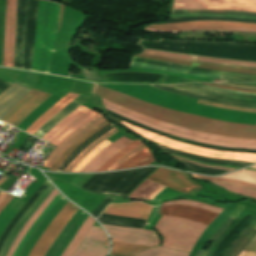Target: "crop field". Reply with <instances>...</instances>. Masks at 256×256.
I'll use <instances>...</instances> for the list:
<instances>
[{"label": "crop field", "mask_w": 256, "mask_h": 256, "mask_svg": "<svg viewBox=\"0 0 256 256\" xmlns=\"http://www.w3.org/2000/svg\"><path fill=\"white\" fill-rule=\"evenodd\" d=\"M93 93L103 98H106L115 104L134 110L149 117L166 121L168 123L212 134H220L235 138L256 139V126L233 124L224 121L169 110L121 94L119 92H116L114 90L108 89L97 84L95 85Z\"/></svg>", "instance_id": "1"}, {"label": "crop field", "mask_w": 256, "mask_h": 256, "mask_svg": "<svg viewBox=\"0 0 256 256\" xmlns=\"http://www.w3.org/2000/svg\"><path fill=\"white\" fill-rule=\"evenodd\" d=\"M63 5L39 0L33 57L32 71L48 73L56 35L58 31L59 10L60 17ZM60 22V20H59Z\"/></svg>", "instance_id": "2"}, {"label": "crop field", "mask_w": 256, "mask_h": 256, "mask_svg": "<svg viewBox=\"0 0 256 256\" xmlns=\"http://www.w3.org/2000/svg\"><path fill=\"white\" fill-rule=\"evenodd\" d=\"M206 227L186 219L162 216L155 228L164 239L162 246L190 253Z\"/></svg>", "instance_id": "3"}, {"label": "crop field", "mask_w": 256, "mask_h": 256, "mask_svg": "<svg viewBox=\"0 0 256 256\" xmlns=\"http://www.w3.org/2000/svg\"><path fill=\"white\" fill-rule=\"evenodd\" d=\"M120 123L124 124L125 126L132 129L133 131L140 134L141 136L168 147H172L175 149H179L182 151H186L189 153H193V154L205 156V157L225 158V159L241 160V161H248V162H256V154L220 152V151H214L210 149L195 147V146L177 142L168 138L161 137L157 134L135 127L123 121H121Z\"/></svg>", "instance_id": "4"}, {"label": "crop field", "mask_w": 256, "mask_h": 256, "mask_svg": "<svg viewBox=\"0 0 256 256\" xmlns=\"http://www.w3.org/2000/svg\"><path fill=\"white\" fill-rule=\"evenodd\" d=\"M67 202L59 193L25 235L13 256H28L41 234Z\"/></svg>", "instance_id": "5"}, {"label": "crop field", "mask_w": 256, "mask_h": 256, "mask_svg": "<svg viewBox=\"0 0 256 256\" xmlns=\"http://www.w3.org/2000/svg\"><path fill=\"white\" fill-rule=\"evenodd\" d=\"M96 115L98 113L81 105L55 125L43 138L49 140L50 144L58 146L68 135Z\"/></svg>", "instance_id": "6"}, {"label": "crop field", "mask_w": 256, "mask_h": 256, "mask_svg": "<svg viewBox=\"0 0 256 256\" xmlns=\"http://www.w3.org/2000/svg\"><path fill=\"white\" fill-rule=\"evenodd\" d=\"M173 9H215L256 12V0H174Z\"/></svg>", "instance_id": "7"}, {"label": "crop field", "mask_w": 256, "mask_h": 256, "mask_svg": "<svg viewBox=\"0 0 256 256\" xmlns=\"http://www.w3.org/2000/svg\"><path fill=\"white\" fill-rule=\"evenodd\" d=\"M78 209L79 208L68 202L42 234L29 256H44L51 243Z\"/></svg>", "instance_id": "8"}, {"label": "crop field", "mask_w": 256, "mask_h": 256, "mask_svg": "<svg viewBox=\"0 0 256 256\" xmlns=\"http://www.w3.org/2000/svg\"><path fill=\"white\" fill-rule=\"evenodd\" d=\"M103 103H105L106 105L120 111V112H124L130 115H133L135 117L141 118L145 121H148L152 124L161 126L163 128H168V129H172V130H176L185 134H189L195 137H201V138H207V139H212V140H216V141H220V142H231V143H241V144H252V145H256V140L253 139H235V138H230V137H224V136H216V135H211V134H206V133H202V132H198V131H194L191 129H187L184 127H180V126H176V125H172V124H167V123H163L161 121L149 118L147 116L141 115L139 113L133 112L131 110L125 109L123 107L117 106L105 99L102 98Z\"/></svg>", "instance_id": "9"}, {"label": "crop field", "mask_w": 256, "mask_h": 256, "mask_svg": "<svg viewBox=\"0 0 256 256\" xmlns=\"http://www.w3.org/2000/svg\"><path fill=\"white\" fill-rule=\"evenodd\" d=\"M103 226L108 231L112 241L149 246H156L160 243L155 231L106 225Z\"/></svg>", "instance_id": "10"}, {"label": "crop field", "mask_w": 256, "mask_h": 256, "mask_svg": "<svg viewBox=\"0 0 256 256\" xmlns=\"http://www.w3.org/2000/svg\"><path fill=\"white\" fill-rule=\"evenodd\" d=\"M148 180L165 185L169 188L180 191L184 194H190L194 190H196L198 187H200L197 184L191 182L187 177L186 173L168 170V169H162V168H159L156 172H154L148 178ZM200 189L202 188L201 187L198 188L191 195L195 194Z\"/></svg>", "instance_id": "11"}, {"label": "crop field", "mask_w": 256, "mask_h": 256, "mask_svg": "<svg viewBox=\"0 0 256 256\" xmlns=\"http://www.w3.org/2000/svg\"><path fill=\"white\" fill-rule=\"evenodd\" d=\"M51 94L32 89L15 107L2 119L13 126H17L28 114L38 107Z\"/></svg>", "instance_id": "12"}, {"label": "crop field", "mask_w": 256, "mask_h": 256, "mask_svg": "<svg viewBox=\"0 0 256 256\" xmlns=\"http://www.w3.org/2000/svg\"><path fill=\"white\" fill-rule=\"evenodd\" d=\"M108 245L109 242L103 229L92 226L82 245L75 251L73 256H105L108 251Z\"/></svg>", "instance_id": "13"}, {"label": "crop field", "mask_w": 256, "mask_h": 256, "mask_svg": "<svg viewBox=\"0 0 256 256\" xmlns=\"http://www.w3.org/2000/svg\"><path fill=\"white\" fill-rule=\"evenodd\" d=\"M17 0H7L3 66L13 67Z\"/></svg>", "instance_id": "14"}, {"label": "crop field", "mask_w": 256, "mask_h": 256, "mask_svg": "<svg viewBox=\"0 0 256 256\" xmlns=\"http://www.w3.org/2000/svg\"><path fill=\"white\" fill-rule=\"evenodd\" d=\"M161 215L178 216L196 222L209 225L217 216L213 212L205 209L186 206V205H167L161 207Z\"/></svg>", "instance_id": "15"}, {"label": "crop field", "mask_w": 256, "mask_h": 256, "mask_svg": "<svg viewBox=\"0 0 256 256\" xmlns=\"http://www.w3.org/2000/svg\"><path fill=\"white\" fill-rule=\"evenodd\" d=\"M142 53L159 56V57H165V58H171V59H177V60H183V61H189V62H195V63H201V64L214 65V66H224V67H234V68H244V69L256 70V63H251V62L208 59V58L184 56V55H178V54H172V53H166V52H160V51H154V50H146V49H143Z\"/></svg>", "instance_id": "16"}, {"label": "crop field", "mask_w": 256, "mask_h": 256, "mask_svg": "<svg viewBox=\"0 0 256 256\" xmlns=\"http://www.w3.org/2000/svg\"><path fill=\"white\" fill-rule=\"evenodd\" d=\"M107 120L101 113L92 118L86 124H84L81 128H79L75 133L71 136L67 137L56 149H54L49 155L46 162L43 166L50 168V166L58 159V157L68 149L75 141H77L81 136L91 130L93 127L98 125L99 123Z\"/></svg>", "instance_id": "17"}, {"label": "crop field", "mask_w": 256, "mask_h": 256, "mask_svg": "<svg viewBox=\"0 0 256 256\" xmlns=\"http://www.w3.org/2000/svg\"><path fill=\"white\" fill-rule=\"evenodd\" d=\"M152 208L144 203L116 204L109 205L103 213L147 219Z\"/></svg>", "instance_id": "18"}, {"label": "crop field", "mask_w": 256, "mask_h": 256, "mask_svg": "<svg viewBox=\"0 0 256 256\" xmlns=\"http://www.w3.org/2000/svg\"><path fill=\"white\" fill-rule=\"evenodd\" d=\"M31 88L18 85L16 83L9 86L0 95V120L2 117L15 106L29 91Z\"/></svg>", "instance_id": "19"}, {"label": "crop field", "mask_w": 256, "mask_h": 256, "mask_svg": "<svg viewBox=\"0 0 256 256\" xmlns=\"http://www.w3.org/2000/svg\"><path fill=\"white\" fill-rule=\"evenodd\" d=\"M105 108L107 110H110V111H113L117 114H120L122 116H125L135 122H138L140 124H143V125H146L148 127H151L153 129H156V130H160V131H163L167 134H170V135H173V136H176V137H180V138H184V139H188V140H192V141H197V142H202V143H206V144H212V145H219V146H223V147H232V148H243V149H255L256 150V146H247V145H237V144H229V143H220V142H216V141H211V140H206V139H200V138H195V137H190V136H187V135H184V134H181V133H178V132H174V131H170V130H166V129H163L161 127H158V126H155V125H152L150 123H147L143 120H140L138 118H135V117H132L130 115H127V114H123V113H120L106 105H104Z\"/></svg>", "instance_id": "20"}, {"label": "crop field", "mask_w": 256, "mask_h": 256, "mask_svg": "<svg viewBox=\"0 0 256 256\" xmlns=\"http://www.w3.org/2000/svg\"><path fill=\"white\" fill-rule=\"evenodd\" d=\"M132 141L133 140H131L125 136L121 137L119 140L112 143L111 145L106 147L104 150H102L81 172L96 171L110 157H112L115 153H117L120 149H122L124 146L131 143Z\"/></svg>", "instance_id": "21"}, {"label": "crop field", "mask_w": 256, "mask_h": 256, "mask_svg": "<svg viewBox=\"0 0 256 256\" xmlns=\"http://www.w3.org/2000/svg\"><path fill=\"white\" fill-rule=\"evenodd\" d=\"M78 96V94L68 92L58 103L44 112L31 126H29L26 129V132L33 135L48 119H50Z\"/></svg>", "instance_id": "22"}, {"label": "crop field", "mask_w": 256, "mask_h": 256, "mask_svg": "<svg viewBox=\"0 0 256 256\" xmlns=\"http://www.w3.org/2000/svg\"><path fill=\"white\" fill-rule=\"evenodd\" d=\"M59 192L54 188L52 193L46 198V200L38 207V209L33 213V215L28 219V221L25 223L22 230L19 232V234L16 236L11 248L9 249L6 256H12L18 247L19 243L21 242L24 235L27 233V231L30 229V227L33 225V223L36 221V219L39 217L41 212L46 208V206L55 198V196Z\"/></svg>", "instance_id": "23"}, {"label": "crop field", "mask_w": 256, "mask_h": 256, "mask_svg": "<svg viewBox=\"0 0 256 256\" xmlns=\"http://www.w3.org/2000/svg\"><path fill=\"white\" fill-rule=\"evenodd\" d=\"M165 187L156 183L146 180L141 184L129 198L149 199L152 200L158 193H160Z\"/></svg>", "instance_id": "24"}, {"label": "crop field", "mask_w": 256, "mask_h": 256, "mask_svg": "<svg viewBox=\"0 0 256 256\" xmlns=\"http://www.w3.org/2000/svg\"><path fill=\"white\" fill-rule=\"evenodd\" d=\"M94 220L89 216L88 219L83 223V225L79 228L78 232L74 236L68 248L65 250L62 256H72L74 251L80 246L83 239L85 238L87 232L94 224Z\"/></svg>", "instance_id": "25"}, {"label": "crop field", "mask_w": 256, "mask_h": 256, "mask_svg": "<svg viewBox=\"0 0 256 256\" xmlns=\"http://www.w3.org/2000/svg\"><path fill=\"white\" fill-rule=\"evenodd\" d=\"M153 161H155V159L151 151L149 150V148L146 147L145 149L140 151L138 154L130 158L128 161L123 163L121 166H119L117 169L146 166L151 164Z\"/></svg>", "instance_id": "26"}, {"label": "crop field", "mask_w": 256, "mask_h": 256, "mask_svg": "<svg viewBox=\"0 0 256 256\" xmlns=\"http://www.w3.org/2000/svg\"><path fill=\"white\" fill-rule=\"evenodd\" d=\"M204 25L256 28V24L231 23V22H219V21H196V22L176 23V24H167V25H151V26L180 27V26H204Z\"/></svg>", "instance_id": "27"}, {"label": "crop field", "mask_w": 256, "mask_h": 256, "mask_svg": "<svg viewBox=\"0 0 256 256\" xmlns=\"http://www.w3.org/2000/svg\"><path fill=\"white\" fill-rule=\"evenodd\" d=\"M111 122H109L108 120L99 124L98 126H96L94 129H92L91 131H89L87 134H85L83 137H81L75 144H73L68 150H66L61 156L60 158L52 165V167L49 170L52 171H56V169L61 165V163L70 155V153L76 148L78 147L83 141H85L86 139H88L89 137H91L92 135H94L95 133H97L98 131H100L101 129H103L104 127H106L108 124H110ZM77 149V148H76Z\"/></svg>", "instance_id": "28"}, {"label": "crop field", "mask_w": 256, "mask_h": 256, "mask_svg": "<svg viewBox=\"0 0 256 256\" xmlns=\"http://www.w3.org/2000/svg\"><path fill=\"white\" fill-rule=\"evenodd\" d=\"M132 61H136V62H145V63H152V64H157V65H162V66L177 67V68L188 69V70H193V71H200V72H208V73H216V74H225V75H235V76L256 78V75H247V74H237V73H229V72L205 70V69H199V68H193V67H187V66L176 65V64L167 63V62H162V61L142 59V58H138V57H134V56H133Z\"/></svg>", "instance_id": "29"}, {"label": "crop field", "mask_w": 256, "mask_h": 256, "mask_svg": "<svg viewBox=\"0 0 256 256\" xmlns=\"http://www.w3.org/2000/svg\"><path fill=\"white\" fill-rule=\"evenodd\" d=\"M150 248L149 246L132 245L112 242L110 256H135L136 253Z\"/></svg>", "instance_id": "30"}, {"label": "crop field", "mask_w": 256, "mask_h": 256, "mask_svg": "<svg viewBox=\"0 0 256 256\" xmlns=\"http://www.w3.org/2000/svg\"><path fill=\"white\" fill-rule=\"evenodd\" d=\"M137 56L138 57H144V58H150V59H156V60H162V61H167V62H173V63H178V64L209 68V69H214V70H223V71H232V72H238V73L256 74V71H252V70L223 68V67H214V66L193 64V63H187V62H181V61H175V60H170V59H165V58L154 57V56H150V55H146V54H138Z\"/></svg>", "instance_id": "31"}, {"label": "crop field", "mask_w": 256, "mask_h": 256, "mask_svg": "<svg viewBox=\"0 0 256 256\" xmlns=\"http://www.w3.org/2000/svg\"><path fill=\"white\" fill-rule=\"evenodd\" d=\"M117 130L114 128L111 131L107 132L99 139L90 144L87 148H85L69 165L64 171H71L84 157H86L100 142L106 140L111 135H113Z\"/></svg>", "instance_id": "32"}, {"label": "crop field", "mask_w": 256, "mask_h": 256, "mask_svg": "<svg viewBox=\"0 0 256 256\" xmlns=\"http://www.w3.org/2000/svg\"><path fill=\"white\" fill-rule=\"evenodd\" d=\"M88 216L89 215H87L86 213L83 212V214L80 216V218L76 221V223L71 228L68 235L63 239V241L61 242L60 246L58 247V249L56 250V252L54 253L53 256H61L62 255V253L64 252V250L66 249V247L68 246L70 241L72 240L73 236L77 232L78 228L81 226V224L86 220V218Z\"/></svg>", "instance_id": "33"}, {"label": "crop field", "mask_w": 256, "mask_h": 256, "mask_svg": "<svg viewBox=\"0 0 256 256\" xmlns=\"http://www.w3.org/2000/svg\"><path fill=\"white\" fill-rule=\"evenodd\" d=\"M144 29L153 30V31H178V30H191V29H210V30H230V31L256 32V29L217 27V26L180 27V28H149V27H146Z\"/></svg>", "instance_id": "34"}, {"label": "crop field", "mask_w": 256, "mask_h": 256, "mask_svg": "<svg viewBox=\"0 0 256 256\" xmlns=\"http://www.w3.org/2000/svg\"><path fill=\"white\" fill-rule=\"evenodd\" d=\"M136 256H189V253L165 248L156 247L143 252L138 253Z\"/></svg>", "instance_id": "35"}, {"label": "crop field", "mask_w": 256, "mask_h": 256, "mask_svg": "<svg viewBox=\"0 0 256 256\" xmlns=\"http://www.w3.org/2000/svg\"><path fill=\"white\" fill-rule=\"evenodd\" d=\"M220 178L234 179L256 185V171L241 170L228 175L220 176Z\"/></svg>", "instance_id": "36"}, {"label": "crop field", "mask_w": 256, "mask_h": 256, "mask_svg": "<svg viewBox=\"0 0 256 256\" xmlns=\"http://www.w3.org/2000/svg\"><path fill=\"white\" fill-rule=\"evenodd\" d=\"M83 211L80 209L77 211V213L72 217V219L68 222V224L65 226L63 231L60 233V235L55 239V241L52 243L51 247L47 251L45 256H52L55 250L57 249L58 245L62 241V239L67 235L68 231L70 230L71 226L74 224V222L78 219V217L81 215Z\"/></svg>", "instance_id": "37"}, {"label": "crop field", "mask_w": 256, "mask_h": 256, "mask_svg": "<svg viewBox=\"0 0 256 256\" xmlns=\"http://www.w3.org/2000/svg\"><path fill=\"white\" fill-rule=\"evenodd\" d=\"M211 182L223 187L224 189H226L230 192H234V193L244 195V196H247V197H251V198H256V191H254V190L247 189V188H244V187H241V186H234V185H231V184H223V183L214 182V181H211Z\"/></svg>", "instance_id": "38"}, {"label": "crop field", "mask_w": 256, "mask_h": 256, "mask_svg": "<svg viewBox=\"0 0 256 256\" xmlns=\"http://www.w3.org/2000/svg\"><path fill=\"white\" fill-rule=\"evenodd\" d=\"M141 142L136 140L132 142L131 144L127 145L125 148L120 150L117 154H115L112 158H110L101 168H99L97 171H106L107 168L113 164L117 159L121 158L123 155H125L127 152L135 148L137 145H139Z\"/></svg>", "instance_id": "39"}, {"label": "crop field", "mask_w": 256, "mask_h": 256, "mask_svg": "<svg viewBox=\"0 0 256 256\" xmlns=\"http://www.w3.org/2000/svg\"><path fill=\"white\" fill-rule=\"evenodd\" d=\"M110 142L107 140L100 143L81 163H79L72 171L80 172L85 165L93 158L95 157L103 148H105L107 145H109Z\"/></svg>", "instance_id": "40"}, {"label": "crop field", "mask_w": 256, "mask_h": 256, "mask_svg": "<svg viewBox=\"0 0 256 256\" xmlns=\"http://www.w3.org/2000/svg\"><path fill=\"white\" fill-rule=\"evenodd\" d=\"M167 204H186V205L205 208V209H208L210 211L216 212L218 214H220V212L223 210V209H219V208H216V207H213V206H209V205L199 203V202H195V201H191V200H177V201L165 202V203L162 204V206L167 205Z\"/></svg>", "instance_id": "41"}, {"label": "crop field", "mask_w": 256, "mask_h": 256, "mask_svg": "<svg viewBox=\"0 0 256 256\" xmlns=\"http://www.w3.org/2000/svg\"><path fill=\"white\" fill-rule=\"evenodd\" d=\"M198 103L199 104H203V105H208V106H214V107H220V108H227V109H232V110L256 113V109H246V108H240V107H236V106L223 105V104L207 102V101H201V100H199Z\"/></svg>", "instance_id": "42"}, {"label": "crop field", "mask_w": 256, "mask_h": 256, "mask_svg": "<svg viewBox=\"0 0 256 256\" xmlns=\"http://www.w3.org/2000/svg\"><path fill=\"white\" fill-rule=\"evenodd\" d=\"M146 146L142 143L139 146H137L135 149H133L131 152H129L128 154H126L125 156H123L121 159H119L117 162H115L107 171L110 170H114L115 168H117L121 163H123L125 160H127L128 158H130L131 156H133L134 154H136L137 152H139L140 150H142L143 148H145Z\"/></svg>", "instance_id": "43"}, {"label": "crop field", "mask_w": 256, "mask_h": 256, "mask_svg": "<svg viewBox=\"0 0 256 256\" xmlns=\"http://www.w3.org/2000/svg\"><path fill=\"white\" fill-rule=\"evenodd\" d=\"M193 177L216 180V181H221V182H226V183H231V184H235V185H241V186H246V187L256 189V186H254V185H250V184H246V183H242V182H237V181H233V180L219 179V178H206V177H199V176H195V175H193Z\"/></svg>", "instance_id": "44"}, {"label": "crop field", "mask_w": 256, "mask_h": 256, "mask_svg": "<svg viewBox=\"0 0 256 256\" xmlns=\"http://www.w3.org/2000/svg\"><path fill=\"white\" fill-rule=\"evenodd\" d=\"M13 198L11 195H7L4 200L0 203V212L3 210V208L10 202V200Z\"/></svg>", "instance_id": "45"}, {"label": "crop field", "mask_w": 256, "mask_h": 256, "mask_svg": "<svg viewBox=\"0 0 256 256\" xmlns=\"http://www.w3.org/2000/svg\"><path fill=\"white\" fill-rule=\"evenodd\" d=\"M205 85H208V84H205ZM209 86H213V85H209ZM213 87L223 88V89H229V90H234V91H243V92H253V93H256V92H254V91L241 90V89H233V88H227V87H219V86H213Z\"/></svg>", "instance_id": "46"}, {"label": "crop field", "mask_w": 256, "mask_h": 256, "mask_svg": "<svg viewBox=\"0 0 256 256\" xmlns=\"http://www.w3.org/2000/svg\"><path fill=\"white\" fill-rule=\"evenodd\" d=\"M173 157V156H172ZM174 158H177V159H181V160H185L183 158H179V157H174ZM187 161V160H185ZM190 162V161H189ZM194 163V162H193ZM198 164V163H196ZM198 165H202V166H207V165H203V164H198ZM208 167H213V166H208ZM213 168H217V169H222V170H228V171H232L233 169H226V168H219V167H213Z\"/></svg>", "instance_id": "47"}, {"label": "crop field", "mask_w": 256, "mask_h": 256, "mask_svg": "<svg viewBox=\"0 0 256 256\" xmlns=\"http://www.w3.org/2000/svg\"><path fill=\"white\" fill-rule=\"evenodd\" d=\"M7 195V193H5V192H1L0 193V202H1V200L5 197Z\"/></svg>", "instance_id": "48"}, {"label": "crop field", "mask_w": 256, "mask_h": 256, "mask_svg": "<svg viewBox=\"0 0 256 256\" xmlns=\"http://www.w3.org/2000/svg\"><path fill=\"white\" fill-rule=\"evenodd\" d=\"M7 177H8V176L5 175V176L0 180V183H1L2 181H4Z\"/></svg>", "instance_id": "49"}, {"label": "crop field", "mask_w": 256, "mask_h": 256, "mask_svg": "<svg viewBox=\"0 0 256 256\" xmlns=\"http://www.w3.org/2000/svg\"><path fill=\"white\" fill-rule=\"evenodd\" d=\"M250 168H255L256 169V166H253V167H250Z\"/></svg>", "instance_id": "50"}, {"label": "crop field", "mask_w": 256, "mask_h": 256, "mask_svg": "<svg viewBox=\"0 0 256 256\" xmlns=\"http://www.w3.org/2000/svg\"><path fill=\"white\" fill-rule=\"evenodd\" d=\"M27 70V69H26Z\"/></svg>", "instance_id": "51"}]
</instances>
